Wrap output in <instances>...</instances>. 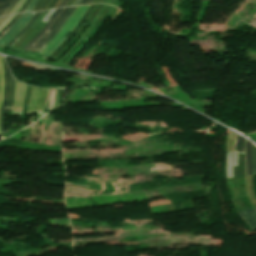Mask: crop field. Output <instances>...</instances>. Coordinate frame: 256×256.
Wrapping results in <instances>:
<instances>
[{"label":"crop field","instance_id":"obj_17","mask_svg":"<svg viewBox=\"0 0 256 256\" xmlns=\"http://www.w3.org/2000/svg\"><path fill=\"white\" fill-rule=\"evenodd\" d=\"M3 86H4V81H3V73H2V65H1V57H0V107L2 103V97H3Z\"/></svg>","mask_w":256,"mask_h":256},{"label":"crop field","instance_id":"obj_1","mask_svg":"<svg viewBox=\"0 0 256 256\" xmlns=\"http://www.w3.org/2000/svg\"><path fill=\"white\" fill-rule=\"evenodd\" d=\"M87 6H81L77 7L74 12L69 16V18L66 20L58 34L40 51V53L48 56L50 53H52L57 45L62 42L67 35L72 31V29L75 27V25L78 23L82 15L84 14L85 10L87 9Z\"/></svg>","mask_w":256,"mask_h":256},{"label":"crop field","instance_id":"obj_29","mask_svg":"<svg viewBox=\"0 0 256 256\" xmlns=\"http://www.w3.org/2000/svg\"><path fill=\"white\" fill-rule=\"evenodd\" d=\"M5 18H0V23L4 20Z\"/></svg>","mask_w":256,"mask_h":256},{"label":"crop field","instance_id":"obj_6","mask_svg":"<svg viewBox=\"0 0 256 256\" xmlns=\"http://www.w3.org/2000/svg\"><path fill=\"white\" fill-rule=\"evenodd\" d=\"M76 7H70L65 16L62 18V20L58 23L56 28L52 31V33L38 46V48L35 50L36 52H39L59 31L65 20L68 18V16L73 12V10Z\"/></svg>","mask_w":256,"mask_h":256},{"label":"crop field","instance_id":"obj_13","mask_svg":"<svg viewBox=\"0 0 256 256\" xmlns=\"http://www.w3.org/2000/svg\"><path fill=\"white\" fill-rule=\"evenodd\" d=\"M40 13L41 12L36 13L31 18V20L24 26V28L7 44V46L11 47L22 36V34L31 26V24L36 20Z\"/></svg>","mask_w":256,"mask_h":256},{"label":"crop field","instance_id":"obj_3","mask_svg":"<svg viewBox=\"0 0 256 256\" xmlns=\"http://www.w3.org/2000/svg\"><path fill=\"white\" fill-rule=\"evenodd\" d=\"M3 71L5 76V86H4V100L1 108V119H0V136L4 134V116L5 110L7 108L8 99H9V90H10V73L6 66V63L2 57Z\"/></svg>","mask_w":256,"mask_h":256},{"label":"crop field","instance_id":"obj_28","mask_svg":"<svg viewBox=\"0 0 256 256\" xmlns=\"http://www.w3.org/2000/svg\"><path fill=\"white\" fill-rule=\"evenodd\" d=\"M79 1H80V0H75V2L73 3V5H72V6L77 5V4L79 3Z\"/></svg>","mask_w":256,"mask_h":256},{"label":"crop field","instance_id":"obj_8","mask_svg":"<svg viewBox=\"0 0 256 256\" xmlns=\"http://www.w3.org/2000/svg\"><path fill=\"white\" fill-rule=\"evenodd\" d=\"M251 229L256 228V210L255 208L238 212Z\"/></svg>","mask_w":256,"mask_h":256},{"label":"crop field","instance_id":"obj_15","mask_svg":"<svg viewBox=\"0 0 256 256\" xmlns=\"http://www.w3.org/2000/svg\"><path fill=\"white\" fill-rule=\"evenodd\" d=\"M244 143H245V139L241 138L240 136H237L234 144V152L243 153Z\"/></svg>","mask_w":256,"mask_h":256},{"label":"crop field","instance_id":"obj_9","mask_svg":"<svg viewBox=\"0 0 256 256\" xmlns=\"http://www.w3.org/2000/svg\"><path fill=\"white\" fill-rule=\"evenodd\" d=\"M57 91H58V89H49L48 90L44 114L55 110Z\"/></svg>","mask_w":256,"mask_h":256},{"label":"crop field","instance_id":"obj_12","mask_svg":"<svg viewBox=\"0 0 256 256\" xmlns=\"http://www.w3.org/2000/svg\"><path fill=\"white\" fill-rule=\"evenodd\" d=\"M251 146H252V143L246 141V148H245L246 175H252V166H251Z\"/></svg>","mask_w":256,"mask_h":256},{"label":"crop field","instance_id":"obj_26","mask_svg":"<svg viewBox=\"0 0 256 256\" xmlns=\"http://www.w3.org/2000/svg\"><path fill=\"white\" fill-rule=\"evenodd\" d=\"M92 0H81L79 5H84V4H88V3H91Z\"/></svg>","mask_w":256,"mask_h":256},{"label":"crop field","instance_id":"obj_20","mask_svg":"<svg viewBox=\"0 0 256 256\" xmlns=\"http://www.w3.org/2000/svg\"><path fill=\"white\" fill-rule=\"evenodd\" d=\"M11 2L12 0H0V16L6 10V8L9 6Z\"/></svg>","mask_w":256,"mask_h":256},{"label":"crop field","instance_id":"obj_5","mask_svg":"<svg viewBox=\"0 0 256 256\" xmlns=\"http://www.w3.org/2000/svg\"><path fill=\"white\" fill-rule=\"evenodd\" d=\"M25 89V85L18 81L15 82V98L12 111H21Z\"/></svg>","mask_w":256,"mask_h":256},{"label":"crop field","instance_id":"obj_23","mask_svg":"<svg viewBox=\"0 0 256 256\" xmlns=\"http://www.w3.org/2000/svg\"><path fill=\"white\" fill-rule=\"evenodd\" d=\"M62 93H63V89H59L56 108H58L59 106H61Z\"/></svg>","mask_w":256,"mask_h":256},{"label":"crop field","instance_id":"obj_11","mask_svg":"<svg viewBox=\"0 0 256 256\" xmlns=\"http://www.w3.org/2000/svg\"><path fill=\"white\" fill-rule=\"evenodd\" d=\"M69 7L64 8V10L61 12V14L58 16V18L55 20V22L51 25V27L48 29V31L45 33V35L38 40L29 51H33L50 33L51 31L55 28L57 23L60 21V19L64 16L65 12L68 10ZM67 13V12H66Z\"/></svg>","mask_w":256,"mask_h":256},{"label":"crop field","instance_id":"obj_27","mask_svg":"<svg viewBox=\"0 0 256 256\" xmlns=\"http://www.w3.org/2000/svg\"><path fill=\"white\" fill-rule=\"evenodd\" d=\"M68 2V0H63L62 3L59 5V7L61 6H65V4Z\"/></svg>","mask_w":256,"mask_h":256},{"label":"crop field","instance_id":"obj_24","mask_svg":"<svg viewBox=\"0 0 256 256\" xmlns=\"http://www.w3.org/2000/svg\"><path fill=\"white\" fill-rule=\"evenodd\" d=\"M31 1L32 0H26L18 12L24 11Z\"/></svg>","mask_w":256,"mask_h":256},{"label":"crop field","instance_id":"obj_25","mask_svg":"<svg viewBox=\"0 0 256 256\" xmlns=\"http://www.w3.org/2000/svg\"><path fill=\"white\" fill-rule=\"evenodd\" d=\"M37 1H38V0H33V1L31 2V4L29 5V7L26 9V11H31V9L33 8V6L36 4Z\"/></svg>","mask_w":256,"mask_h":256},{"label":"crop field","instance_id":"obj_22","mask_svg":"<svg viewBox=\"0 0 256 256\" xmlns=\"http://www.w3.org/2000/svg\"><path fill=\"white\" fill-rule=\"evenodd\" d=\"M19 0H14L11 5L7 8V10L3 13L2 16H6L9 15V13L12 11V9L15 7V5L17 4Z\"/></svg>","mask_w":256,"mask_h":256},{"label":"crop field","instance_id":"obj_4","mask_svg":"<svg viewBox=\"0 0 256 256\" xmlns=\"http://www.w3.org/2000/svg\"><path fill=\"white\" fill-rule=\"evenodd\" d=\"M95 7L96 5H89L85 14L83 15L79 23L76 25V27L73 29V31L70 33V35L67 37V39L58 46V48L49 56V58L53 59L66 46V44L74 37L75 33L83 25L85 20L90 16Z\"/></svg>","mask_w":256,"mask_h":256},{"label":"crop field","instance_id":"obj_30","mask_svg":"<svg viewBox=\"0 0 256 256\" xmlns=\"http://www.w3.org/2000/svg\"><path fill=\"white\" fill-rule=\"evenodd\" d=\"M254 207L256 208V205Z\"/></svg>","mask_w":256,"mask_h":256},{"label":"crop field","instance_id":"obj_16","mask_svg":"<svg viewBox=\"0 0 256 256\" xmlns=\"http://www.w3.org/2000/svg\"><path fill=\"white\" fill-rule=\"evenodd\" d=\"M27 14H22V16L17 20V22L4 34L0 39V44L7 38V36L18 26V24L25 18Z\"/></svg>","mask_w":256,"mask_h":256},{"label":"crop field","instance_id":"obj_2","mask_svg":"<svg viewBox=\"0 0 256 256\" xmlns=\"http://www.w3.org/2000/svg\"><path fill=\"white\" fill-rule=\"evenodd\" d=\"M47 90L45 88L33 87L27 115L32 112L43 111Z\"/></svg>","mask_w":256,"mask_h":256},{"label":"crop field","instance_id":"obj_19","mask_svg":"<svg viewBox=\"0 0 256 256\" xmlns=\"http://www.w3.org/2000/svg\"><path fill=\"white\" fill-rule=\"evenodd\" d=\"M13 98H14V79L11 77L10 99H9V105H8L7 110L12 108Z\"/></svg>","mask_w":256,"mask_h":256},{"label":"crop field","instance_id":"obj_14","mask_svg":"<svg viewBox=\"0 0 256 256\" xmlns=\"http://www.w3.org/2000/svg\"><path fill=\"white\" fill-rule=\"evenodd\" d=\"M33 16V14H28L26 18L19 24V26L9 35V37L0 45L4 46L22 29V27L28 22V20Z\"/></svg>","mask_w":256,"mask_h":256},{"label":"crop field","instance_id":"obj_18","mask_svg":"<svg viewBox=\"0 0 256 256\" xmlns=\"http://www.w3.org/2000/svg\"><path fill=\"white\" fill-rule=\"evenodd\" d=\"M21 16V14L16 15L0 32V38L3 36V34L15 23V21Z\"/></svg>","mask_w":256,"mask_h":256},{"label":"crop field","instance_id":"obj_21","mask_svg":"<svg viewBox=\"0 0 256 256\" xmlns=\"http://www.w3.org/2000/svg\"><path fill=\"white\" fill-rule=\"evenodd\" d=\"M253 175H256V147L253 145L252 153Z\"/></svg>","mask_w":256,"mask_h":256},{"label":"crop field","instance_id":"obj_7","mask_svg":"<svg viewBox=\"0 0 256 256\" xmlns=\"http://www.w3.org/2000/svg\"><path fill=\"white\" fill-rule=\"evenodd\" d=\"M63 9V8H62ZM62 9H56L54 14L50 17L48 23L45 25V27L40 31V33L34 37L29 43L24 47L23 50L28 51L31 46L45 33V31L50 27V25L53 23V21L56 19V17L59 15V13L62 11Z\"/></svg>","mask_w":256,"mask_h":256},{"label":"crop field","instance_id":"obj_10","mask_svg":"<svg viewBox=\"0 0 256 256\" xmlns=\"http://www.w3.org/2000/svg\"><path fill=\"white\" fill-rule=\"evenodd\" d=\"M59 0H39L32 11H40L53 8Z\"/></svg>","mask_w":256,"mask_h":256}]
</instances>
